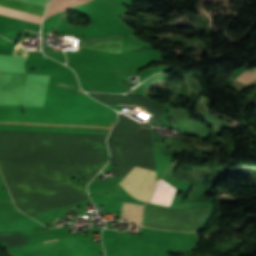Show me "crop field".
Masks as SVG:
<instances>
[{
  "mask_svg": "<svg viewBox=\"0 0 256 256\" xmlns=\"http://www.w3.org/2000/svg\"><path fill=\"white\" fill-rule=\"evenodd\" d=\"M25 59L23 57L0 55V71L26 73L23 67Z\"/></svg>",
  "mask_w": 256,
  "mask_h": 256,
  "instance_id": "dd49c442",
  "label": "crop field"
},
{
  "mask_svg": "<svg viewBox=\"0 0 256 256\" xmlns=\"http://www.w3.org/2000/svg\"><path fill=\"white\" fill-rule=\"evenodd\" d=\"M256 79V77L253 74V71H246L243 72L242 74H240L238 77H236L235 80L242 82L244 84H248L252 81H254Z\"/></svg>",
  "mask_w": 256,
  "mask_h": 256,
  "instance_id": "5a996713",
  "label": "crop field"
},
{
  "mask_svg": "<svg viewBox=\"0 0 256 256\" xmlns=\"http://www.w3.org/2000/svg\"><path fill=\"white\" fill-rule=\"evenodd\" d=\"M59 240V239H58ZM51 241H55V240H51ZM47 242H50V241H47Z\"/></svg>",
  "mask_w": 256,
  "mask_h": 256,
  "instance_id": "3316defc",
  "label": "crop field"
},
{
  "mask_svg": "<svg viewBox=\"0 0 256 256\" xmlns=\"http://www.w3.org/2000/svg\"><path fill=\"white\" fill-rule=\"evenodd\" d=\"M89 0H79L80 3L87 2ZM78 4V0H54L50 8L48 9L45 18L49 17L50 15L70 8Z\"/></svg>",
  "mask_w": 256,
  "mask_h": 256,
  "instance_id": "d8731c3e",
  "label": "crop field"
},
{
  "mask_svg": "<svg viewBox=\"0 0 256 256\" xmlns=\"http://www.w3.org/2000/svg\"><path fill=\"white\" fill-rule=\"evenodd\" d=\"M112 112L114 114V118L116 121L117 114L113 110ZM112 112L102 111V110H83V109H65V108H32V107L0 106V114H7V115L113 120ZM7 115H0V121L102 125V126H113L114 124V121H105V120L26 117V116H7ZM0 123H13V122H0ZM13 124H35V123H13ZM35 125H57V124H35ZM57 126H79V125H57ZM79 127H101V126H79ZM101 128H111V127H101Z\"/></svg>",
  "mask_w": 256,
  "mask_h": 256,
  "instance_id": "8a807250",
  "label": "crop field"
},
{
  "mask_svg": "<svg viewBox=\"0 0 256 256\" xmlns=\"http://www.w3.org/2000/svg\"><path fill=\"white\" fill-rule=\"evenodd\" d=\"M155 181L156 172L134 166L119 184L135 198L148 202Z\"/></svg>",
  "mask_w": 256,
  "mask_h": 256,
  "instance_id": "ac0d7876",
  "label": "crop field"
},
{
  "mask_svg": "<svg viewBox=\"0 0 256 256\" xmlns=\"http://www.w3.org/2000/svg\"><path fill=\"white\" fill-rule=\"evenodd\" d=\"M49 77L28 74L21 106L43 107Z\"/></svg>",
  "mask_w": 256,
  "mask_h": 256,
  "instance_id": "412701ff",
  "label": "crop field"
},
{
  "mask_svg": "<svg viewBox=\"0 0 256 256\" xmlns=\"http://www.w3.org/2000/svg\"><path fill=\"white\" fill-rule=\"evenodd\" d=\"M47 6L50 0H22ZM18 0H0V14L41 23L45 7Z\"/></svg>",
  "mask_w": 256,
  "mask_h": 256,
  "instance_id": "34b2d1b8",
  "label": "crop field"
},
{
  "mask_svg": "<svg viewBox=\"0 0 256 256\" xmlns=\"http://www.w3.org/2000/svg\"><path fill=\"white\" fill-rule=\"evenodd\" d=\"M143 205L123 202L121 219L141 224Z\"/></svg>",
  "mask_w": 256,
  "mask_h": 256,
  "instance_id": "e52e79f7",
  "label": "crop field"
},
{
  "mask_svg": "<svg viewBox=\"0 0 256 256\" xmlns=\"http://www.w3.org/2000/svg\"><path fill=\"white\" fill-rule=\"evenodd\" d=\"M175 191L176 189L160 179L157 182L156 188L151 196L150 201L169 206Z\"/></svg>",
  "mask_w": 256,
  "mask_h": 256,
  "instance_id": "f4fd0767",
  "label": "crop field"
},
{
  "mask_svg": "<svg viewBox=\"0 0 256 256\" xmlns=\"http://www.w3.org/2000/svg\"><path fill=\"white\" fill-rule=\"evenodd\" d=\"M255 73H256V69H255Z\"/></svg>",
  "mask_w": 256,
  "mask_h": 256,
  "instance_id": "28ad6ade",
  "label": "crop field"
}]
</instances>
